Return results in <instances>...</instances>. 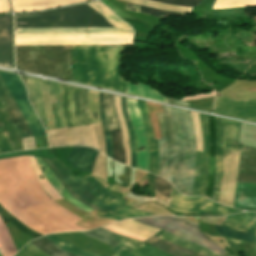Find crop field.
<instances>
[{
  "instance_id": "obj_52",
  "label": "crop field",
  "mask_w": 256,
  "mask_h": 256,
  "mask_svg": "<svg viewBox=\"0 0 256 256\" xmlns=\"http://www.w3.org/2000/svg\"><path fill=\"white\" fill-rule=\"evenodd\" d=\"M42 159H43V161L46 163V165L49 167V169L52 171V173L57 177V179L63 184V186L69 191V193H70L72 196H74L75 198H77V199L80 200L81 202H83V203H85V204H87V205L93 207L92 204H90V203L84 201V200H83L80 196H78L65 182H63V181L53 172V170L50 168V166L47 164V162L44 160V158H42ZM94 207H95V206H94ZM96 209L99 210V211H101V212H103V213H105V214L108 213V212H106V211H104V210H101V209H99V208H97V207H96Z\"/></svg>"
},
{
  "instance_id": "obj_27",
  "label": "crop field",
  "mask_w": 256,
  "mask_h": 256,
  "mask_svg": "<svg viewBox=\"0 0 256 256\" xmlns=\"http://www.w3.org/2000/svg\"><path fill=\"white\" fill-rule=\"evenodd\" d=\"M0 122H1L2 126L4 127L6 133L9 137L12 151L22 150L19 135H18L15 127L13 126L11 120L7 116L1 102H0ZM1 124H0V127H1L5 137L7 139L9 151L11 152L8 137H7L3 127L1 126Z\"/></svg>"
},
{
  "instance_id": "obj_54",
  "label": "crop field",
  "mask_w": 256,
  "mask_h": 256,
  "mask_svg": "<svg viewBox=\"0 0 256 256\" xmlns=\"http://www.w3.org/2000/svg\"><path fill=\"white\" fill-rule=\"evenodd\" d=\"M223 226L233 228V229H237V230H241V231L252 232V233H255V231H256V229H253V228H246V227H241V226L226 224V223H224Z\"/></svg>"
},
{
  "instance_id": "obj_57",
  "label": "crop field",
  "mask_w": 256,
  "mask_h": 256,
  "mask_svg": "<svg viewBox=\"0 0 256 256\" xmlns=\"http://www.w3.org/2000/svg\"><path fill=\"white\" fill-rule=\"evenodd\" d=\"M206 233L208 235H212V236H220V235H216V234H212V233H208V232H206ZM220 237H222V236H220ZM222 238H224L229 245L245 243V242H242V241H238V240H234V239H230V238H226V237H222Z\"/></svg>"
},
{
  "instance_id": "obj_8",
  "label": "crop field",
  "mask_w": 256,
  "mask_h": 256,
  "mask_svg": "<svg viewBox=\"0 0 256 256\" xmlns=\"http://www.w3.org/2000/svg\"><path fill=\"white\" fill-rule=\"evenodd\" d=\"M134 220L196 242L218 256L227 252V250L216 246L204 234H202L198 229V225L181 217H145L135 218Z\"/></svg>"
},
{
  "instance_id": "obj_44",
  "label": "crop field",
  "mask_w": 256,
  "mask_h": 256,
  "mask_svg": "<svg viewBox=\"0 0 256 256\" xmlns=\"http://www.w3.org/2000/svg\"><path fill=\"white\" fill-rule=\"evenodd\" d=\"M137 102H138V106L141 111L142 119L144 122L146 138H147V140L154 139L151 123H150L148 113H147L146 104H145V102L139 101V100H137Z\"/></svg>"
},
{
  "instance_id": "obj_11",
  "label": "crop field",
  "mask_w": 256,
  "mask_h": 256,
  "mask_svg": "<svg viewBox=\"0 0 256 256\" xmlns=\"http://www.w3.org/2000/svg\"><path fill=\"white\" fill-rule=\"evenodd\" d=\"M47 237L66 251L73 253L77 256H100L76 248L68 242L54 235H47ZM115 240H118L122 243L111 249L116 252L113 256H171L165 252H162L151 246H145L141 242L126 238L122 235H118Z\"/></svg>"
},
{
  "instance_id": "obj_3",
  "label": "crop field",
  "mask_w": 256,
  "mask_h": 256,
  "mask_svg": "<svg viewBox=\"0 0 256 256\" xmlns=\"http://www.w3.org/2000/svg\"><path fill=\"white\" fill-rule=\"evenodd\" d=\"M123 46L72 47L73 81L126 93L120 75Z\"/></svg>"
},
{
  "instance_id": "obj_42",
  "label": "crop field",
  "mask_w": 256,
  "mask_h": 256,
  "mask_svg": "<svg viewBox=\"0 0 256 256\" xmlns=\"http://www.w3.org/2000/svg\"><path fill=\"white\" fill-rule=\"evenodd\" d=\"M149 142L150 151V168L149 171L158 175V146L157 140H151Z\"/></svg>"
},
{
  "instance_id": "obj_19",
  "label": "crop field",
  "mask_w": 256,
  "mask_h": 256,
  "mask_svg": "<svg viewBox=\"0 0 256 256\" xmlns=\"http://www.w3.org/2000/svg\"><path fill=\"white\" fill-rule=\"evenodd\" d=\"M144 226L145 225H143L139 222L129 219V220L121 221V222H118V223H115V224H112L109 226H105L103 228L108 229L112 232L127 236ZM158 231H159V229L146 226V227L138 230L137 232L129 235L128 237L143 241V240L153 236Z\"/></svg>"
},
{
  "instance_id": "obj_6",
  "label": "crop field",
  "mask_w": 256,
  "mask_h": 256,
  "mask_svg": "<svg viewBox=\"0 0 256 256\" xmlns=\"http://www.w3.org/2000/svg\"><path fill=\"white\" fill-rule=\"evenodd\" d=\"M157 114L161 137L166 138L167 149L196 151V140L190 111L163 106Z\"/></svg>"
},
{
  "instance_id": "obj_24",
  "label": "crop field",
  "mask_w": 256,
  "mask_h": 256,
  "mask_svg": "<svg viewBox=\"0 0 256 256\" xmlns=\"http://www.w3.org/2000/svg\"><path fill=\"white\" fill-rule=\"evenodd\" d=\"M199 117H200V123H201V128H202L203 140H204V149H203V155H202V173H201L199 195H205L206 194L207 177H208V168H209L208 116L199 113Z\"/></svg>"
},
{
  "instance_id": "obj_59",
  "label": "crop field",
  "mask_w": 256,
  "mask_h": 256,
  "mask_svg": "<svg viewBox=\"0 0 256 256\" xmlns=\"http://www.w3.org/2000/svg\"><path fill=\"white\" fill-rule=\"evenodd\" d=\"M1 255V254H0Z\"/></svg>"
},
{
  "instance_id": "obj_4",
  "label": "crop field",
  "mask_w": 256,
  "mask_h": 256,
  "mask_svg": "<svg viewBox=\"0 0 256 256\" xmlns=\"http://www.w3.org/2000/svg\"><path fill=\"white\" fill-rule=\"evenodd\" d=\"M16 68L71 81L70 47H15Z\"/></svg>"
},
{
  "instance_id": "obj_15",
  "label": "crop field",
  "mask_w": 256,
  "mask_h": 256,
  "mask_svg": "<svg viewBox=\"0 0 256 256\" xmlns=\"http://www.w3.org/2000/svg\"><path fill=\"white\" fill-rule=\"evenodd\" d=\"M241 123L227 120L224 125L222 156L215 155L216 177L212 199L217 201L219 197L220 182L223 177L222 159L230 154L231 150H241L238 143Z\"/></svg>"
},
{
  "instance_id": "obj_25",
  "label": "crop field",
  "mask_w": 256,
  "mask_h": 256,
  "mask_svg": "<svg viewBox=\"0 0 256 256\" xmlns=\"http://www.w3.org/2000/svg\"><path fill=\"white\" fill-rule=\"evenodd\" d=\"M46 159V158H45ZM48 164L51 166V168L54 170V172L62 179L64 180L76 193H78L81 197L86 199L88 202L108 211L111 212L115 210L114 208L110 207L106 203L96 199L94 196H92L89 192H87L83 187L77 185L75 182H73L70 178L62 174L51 162L49 159H46Z\"/></svg>"
},
{
  "instance_id": "obj_40",
  "label": "crop field",
  "mask_w": 256,
  "mask_h": 256,
  "mask_svg": "<svg viewBox=\"0 0 256 256\" xmlns=\"http://www.w3.org/2000/svg\"><path fill=\"white\" fill-rule=\"evenodd\" d=\"M123 1L133 2L136 4L155 7V8H159V9L172 10V11H176V12H189L191 9L189 7H177V6L165 5V4L153 2L150 0H123Z\"/></svg>"
},
{
  "instance_id": "obj_50",
  "label": "crop field",
  "mask_w": 256,
  "mask_h": 256,
  "mask_svg": "<svg viewBox=\"0 0 256 256\" xmlns=\"http://www.w3.org/2000/svg\"><path fill=\"white\" fill-rule=\"evenodd\" d=\"M45 254L28 243L16 256H47Z\"/></svg>"
},
{
  "instance_id": "obj_39",
  "label": "crop field",
  "mask_w": 256,
  "mask_h": 256,
  "mask_svg": "<svg viewBox=\"0 0 256 256\" xmlns=\"http://www.w3.org/2000/svg\"><path fill=\"white\" fill-rule=\"evenodd\" d=\"M214 226L220 235L229 236V237L237 238V239H240V240H243L246 242L253 243L255 234L245 233V232H241V231H237V230L234 231L229 228L222 227V226H216V225H214Z\"/></svg>"
},
{
  "instance_id": "obj_29",
  "label": "crop field",
  "mask_w": 256,
  "mask_h": 256,
  "mask_svg": "<svg viewBox=\"0 0 256 256\" xmlns=\"http://www.w3.org/2000/svg\"><path fill=\"white\" fill-rule=\"evenodd\" d=\"M215 123L216 118L209 116V134H210V169H209V177H208V188L206 196L211 198L212 193V185L215 177V168H214V149H215Z\"/></svg>"
},
{
  "instance_id": "obj_33",
  "label": "crop field",
  "mask_w": 256,
  "mask_h": 256,
  "mask_svg": "<svg viewBox=\"0 0 256 256\" xmlns=\"http://www.w3.org/2000/svg\"><path fill=\"white\" fill-rule=\"evenodd\" d=\"M127 93L149 97L153 99L163 100L165 101L166 97L158 94L151 86L147 84H131L128 83Z\"/></svg>"
},
{
  "instance_id": "obj_13",
  "label": "crop field",
  "mask_w": 256,
  "mask_h": 256,
  "mask_svg": "<svg viewBox=\"0 0 256 256\" xmlns=\"http://www.w3.org/2000/svg\"><path fill=\"white\" fill-rule=\"evenodd\" d=\"M0 74L9 88L20 111L22 112L26 122L32 130L33 135L46 134L27 99L25 88L19 76L2 71H0Z\"/></svg>"
},
{
  "instance_id": "obj_14",
  "label": "crop field",
  "mask_w": 256,
  "mask_h": 256,
  "mask_svg": "<svg viewBox=\"0 0 256 256\" xmlns=\"http://www.w3.org/2000/svg\"><path fill=\"white\" fill-rule=\"evenodd\" d=\"M52 146L85 145L99 149L93 124L48 131Z\"/></svg>"
},
{
  "instance_id": "obj_22",
  "label": "crop field",
  "mask_w": 256,
  "mask_h": 256,
  "mask_svg": "<svg viewBox=\"0 0 256 256\" xmlns=\"http://www.w3.org/2000/svg\"><path fill=\"white\" fill-rule=\"evenodd\" d=\"M97 153L98 152L93 149L80 146H73L67 160L74 167L84 172H92L93 161Z\"/></svg>"
},
{
  "instance_id": "obj_23",
  "label": "crop field",
  "mask_w": 256,
  "mask_h": 256,
  "mask_svg": "<svg viewBox=\"0 0 256 256\" xmlns=\"http://www.w3.org/2000/svg\"><path fill=\"white\" fill-rule=\"evenodd\" d=\"M85 0H12L15 12L43 10L55 6L81 2Z\"/></svg>"
},
{
  "instance_id": "obj_2",
  "label": "crop field",
  "mask_w": 256,
  "mask_h": 256,
  "mask_svg": "<svg viewBox=\"0 0 256 256\" xmlns=\"http://www.w3.org/2000/svg\"><path fill=\"white\" fill-rule=\"evenodd\" d=\"M240 143L256 147V126L242 123ZM243 145L241 151H232L223 159L224 177L220 188L219 203L232 207L237 182L256 183V148ZM234 208L256 211V184L237 183Z\"/></svg>"
},
{
  "instance_id": "obj_55",
  "label": "crop field",
  "mask_w": 256,
  "mask_h": 256,
  "mask_svg": "<svg viewBox=\"0 0 256 256\" xmlns=\"http://www.w3.org/2000/svg\"><path fill=\"white\" fill-rule=\"evenodd\" d=\"M0 13H10L9 0H0Z\"/></svg>"
},
{
  "instance_id": "obj_12",
  "label": "crop field",
  "mask_w": 256,
  "mask_h": 256,
  "mask_svg": "<svg viewBox=\"0 0 256 256\" xmlns=\"http://www.w3.org/2000/svg\"><path fill=\"white\" fill-rule=\"evenodd\" d=\"M169 209L179 213L199 212L201 216H221L241 211L217 205L203 197L181 195L175 188L173 189Z\"/></svg>"
},
{
  "instance_id": "obj_58",
  "label": "crop field",
  "mask_w": 256,
  "mask_h": 256,
  "mask_svg": "<svg viewBox=\"0 0 256 256\" xmlns=\"http://www.w3.org/2000/svg\"><path fill=\"white\" fill-rule=\"evenodd\" d=\"M103 217L111 218V219H116V220L125 219V218L118 217V216H115V215H112V214H109V215H106V216H103Z\"/></svg>"
},
{
  "instance_id": "obj_48",
  "label": "crop field",
  "mask_w": 256,
  "mask_h": 256,
  "mask_svg": "<svg viewBox=\"0 0 256 256\" xmlns=\"http://www.w3.org/2000/svg\"><path fill=\"white\" fill-rule=\"evenodd\" d=\"M201 154L202 152H197V155H196V170H195L193 195H198V190H199V180H200V173H201Z\"/></svg>"
},
{
  "instance_id": "obj_49",
  "label": "crop field",
  "mask_w": 256,
  "mask_h": 256,
  "mask_svg": "<svg viewBox=\"0 0 256 256\" xmlns=\"http://www.w3.org/2000/svg\"><path fill=\"white\" fill-rule=\"evenodd\" d=\"M155 189L169 197L171 185L167 181L155 176Z\"/></svg>"
},
{
  "instance_id": "obj_53",
  "label": "crop field",
  "mask_w": 256,
  "mask_h": 256,
  "mask_svg": "<svg viewBox=\"0 0 256 256\" xmlns=\"http://www.w3.org/2000/svg\"><path fill=\"white\" fill-rule=\"evenodd\" d=\"M0 152L1 153L9 152L7 143H6V139H5L1 129H0Z\"/></svg>"
},
{
  "instance_id": "obj_34",
  "label": "crop field",
  "mask_w": 256,
  "mask_h": 256,
  "mask_svg": "<svg viewBox=\"0 0 256 256\" xmlns=\"http://www.w3.org/2000/svg\"><path fill=\"white\" fill-rule=\"evenodd\" d=\"M114 105L117 111V115H118V119L121 127L124 148L126 150V164L130 166L131 156H130V148H129V142H128V131L126 129V125H125L121 107H120V97L114 96Z\"/></svg>"
},
{
  "instance_id": "obj_37",
  "label": "crop field",
  "mask_w": 256,
  "mask_h": 256,
  "mask_svg": "<svg viewBox=\"0 0 256 256\" xmlns=\"http://www.w3.org/2000/svg\"><path fill=\"white\" fill-rule=\"evenodd\" d=\"M227 222L238 223L245 226L256 228V213L246 212L242 214L233 215L228 218ZM254 251L256 253V240L254 245Z\"/></svg>"
},
{
  "instance_id": "obj_41",
  "label": "crop field",
  "mask_w": 256,
  "mask_h": 256,
  "mask_svg": "<svg viewBox=\"0 0 256 256\" xmlns=\"http://www.w3.org/2000/svg\"><path fill=\"white\" fill-rule=\"evenodd\" d=\"M20 155H31V156L47 157V158H54L55 157L51 148H47V149H40V150H33V151H26V152L0 155V158L16 157V156H20Z\"/></svg>"
},
{
  "instance_id": "obj_26",
  "label": "crop field",
  "mask_w": 256,
  "mask_h": 256,
  "mask_svg": "<svg viewBox=\"0 0 256 256\" xmlns=\"http://www.w3.org/2000/svg\"><path fill=\"white\" fill-rule=\"evenodd\" d=\"M36 161L38 162L39 166L45 165V163L42 161L41 158H36ZM44 176L46 179L50 182V184L58 191V193L65 198L69 203L91 213L94 209L84 205L77 199L71 197L69 193L66 191V189L62 186V184L56 179V177L51 173V171L48 169V167L45 165V172Z\"/></svg>"
},
{
  "instance_id": "obj_56",
  "label": "crop field",
  "mask_w": 256,
  "mask_h": 256,
  "mask_svg": "<svg viewBox=\"0 0 256 256\" xmlns=\"http://www.w3.org/2000/svg\"><path fill=\"white\" fill-rule=\"evenodd\" d=\"M166 102L172 103V104H175V105H178V106L189 107V103H187V102H183V101H181V100L172 99V98H168V97H167Z\"/></svg>"
},
{
  "instance_id": "obj_46",
  "label": "crop field",
  "mask_w": 256,
  "mask_h": 256,
  "mask_svg": "<svg viewBox=\"0 0 256 256\" xmlns=\"http://www.w3.org/2000/svg\"><path fill=\"white\" fill-rule=\"evenodd\" d=\"M225 119L217 118L216 123V150L215 154L221 155L222 150V132Z\"/></svg>"
},
{
  "instance_id": "obj_47",
  "label": "crop field",
  "mask_w": 256,
  "mask_h": 256,
  "mask_svg": "<svg viewBox=\"0 0 256 256\" xmlns=\"http://www.w3.org/2000/svg\"><path fill=\"white\" fill-rule=\"evenodd\" d=\"M193 124L195 127V134L197 138V151H202V139L198 113L191 112Z\"/></svg>"
},
{
  "instance_id": "obj_36",
  "label": "crop field",
  "mask_w": 256,
  "mask_h": 256,
  "mask_svg": "<svg viewBox=\"0 0 256 256\" xmlns=\"http://www.w3.org/2000/svg\"><path fill=\"white\" fill-rule=\"evenodd\" d=\"M86 236H90V237H93L109 246H112L114 247L116 244L120 243V242H117L115 240H113L117 234H114L108 230H105L103 228H99V229H95V230H92V231H88V232H80Z\"/></svg>"
},
{
  "instance_id": "obj_43",
  "label": "crop field",
  "mask_w": 256,
  "mask_h": 256,
  "mask_svg": "<svg viewBox=\"0 0 256 256\" xmlns=\"http://www.w3.org/2000/svg\"><path fill=\"white\" fill-rule=\"evenodd\" d=\"M121 107L123 109L124 112V116L126 119V123L129 129V135H130V139H131V154H132V163L131 166L135 168V143H134V132H133V128L131 126V123L129 121V117H128V113H127V109H126V104H125V98L121 97Z\"/></svg>"
},
{
  "instance_id": "obj_51",
  "label": "crop field",
  "mask_w": 256,
  "mask_h": 256,
  "mask_svg": "<svg viewBox=\"0 0 256 256\" xmlns=\"http://www.w3.org/2000/svg\"><path fill=\"white\" fill-rule=\"evenodd\" d=\"M162 3H168L179 6H195L200 3L201 0H154Z\"/></svg>"
},
{
  "instance_id": "obj_30",
  "label": "crop field",
  "mask_w": 256,
  "mask_h": 256,
  "mask_svg": "<svg viewBox=\"0 0 256 256\" xmlns=\"http://www.w3.org/2000/svg\"><path fill=\"white\" fill-rule=\"evenodd\" d=\"M214 92L197 94L182 98L181 100L190 102V107L212 112ZM191 108V109H192Z\"/></svg>"
},
{
  "instance_id": "obj_38",
  "label": "crop field",
  "mask_w": 256,
  "mask_h": 256,
  "mask_svg": "<svg viewBox=\"0 0 256 256\" xmlns=\"http://www.w3.org/2000/svg\"><path fill=\"white\" fill-rule=\"evenodd\" d=\"M0 216L4 220V222L10 221L12 224H14L18 229H20L22 232L36 238L39 236H42L41 234L29 229L28 227L24 226L21 222H19L15 217H13L10 213H8L1 205H0Z\"/></svg>"
},
{
  "instance_id": "obj_32",
  "label": "crop field",
  "mask_w": 256,
  "mask_h": 256,
  "mask_svg": "<svg viewBox=\"0 0 256 256\" xmlns=\"http://www.w3.org/2000/svg\"><path fill=\"white\" fill-rule=\"evenodd\" d=\"M30 243L49 256H73L55 245L46 236L31 241Z\"/></svg>"
},
{
  "instance_id": "obj_5",
  "label": "crop field",
  "mask_w": 256,
  "mask_h": 256,
  "mask_svg": "<svg viewBox=\"0 0 256 256\" xmlns=\"http://www.w3.org/2000/svg\"><path fill=\"white\" fill-rule=\"evenodd\" d=\"M158 145L159 175L181 193L192 195L196 152L167 151L165 139L158 140Z\"/></svg>"
},
{
  "instance_id": "obj_28",
  "label": "crop field",
  "mask_w": 256,
  "mask_h": 256,
  "mask_svg": "<svg viewBox=\"0 0 256 256\" xmlns=\"http://www.w3.org/2000/svg\"><path fill=\"white\" fill-rule=\"evenodd\" d=\"M143 243H148L149 245H152L174 256H203L192 251H189L187 249L181 248L179 246H176L174 244H171L169 242H166L164 240H161L155 236Z\"/></svg>"
},
{
  "instance_id": "obj_21",
  "label": "crop field",
  "mask_w": 256,
  "mask_h": 256,
  "mask_svg": "<svg viewBox=\"0 0 256 256\" xmlns=\"http://www.w3.org/2000/svg\"><path fill=\"white\" fill-rule=\"evenodd\" d=\"M4 87H6V85H5L4 81L2 80V78L0 76V100L1 101L6 100V97L8 99L6 101H2L3 106L5 107V109L8 113V115L10 116L12 122L18 121L22 130L29 129V127L27 126L22 114L20 113L16 103L14 102V100H13V98H12V96H11V94L8 91L7 88L3 89V91L6 95V97H5V95H4V93L1 89V88H4ZM18 122H15L14 125H15V127H16L20 136L32 135L30 130L22 131Z\"/></svg>"
},
{
  "instance_id": "obj_17",
  "label": "crop field",
  "mask_w": 256,
  "mask_h": 256,
  "mask_svg": "<svg viewBox=\"0 0 256 256\" xmlns=\"http://www.w3.org/2000/svg\"><path fill=\"white\" fill-rule=\"evenodd\" d=\"M128 113L135 131L136 135V148L141 146H148L146 142V138L144 135V126L142 123V119L138 110V106L136 100L134 99H126ZM137 157V165L136 168H139L144 171H148L149 167V151L148 147L144 150H140L136 152Z\"/></svg>"
},
{
  "instance_id": "obj_31",
  "label": "crop field",
  "mask_w": 256,
  "mask_h": 256,
  "mask_svg": "<svg viewBox=\"0 0 256 256\" xmlns=\"http://www.w3.org/2000/svg\"><path fill=\"white\" fill-rule=\"evenodd\" d=\"M158 237L161 239L167 240L169 242L175 243L177 245H180L182 247L188 248L190 250H193L197 253L203 254L205 256H216L213 253H211L210 251L206 250L205 248H203L193 242L182 239L180 237H177V236L167 233L165 231Z\"/></svg>"
},
{
  "instance_id": "obj_20",
  "label": "crop field",
  "mask_w": 256,
  "mask_h": 256,
  "mask_svg": "<svg viewBox=\"0 0 256 256\" xmlns=\"http://www.w3.org/2000/svg\"><path fill=\"white\" fill-rule=\"evenodd\" d=\"M0 65L12 68L11 15L0 16Z\"/></svg>"
},
{
  "instance_id": "obj_16",
  "label": "crop field",
  "mask_w": 256,
  "mask_h": 256,
  "mask_svg": "<svg viewBox=\"0 0 256 256\" xmlns=\"http://www.w3.org/2000/svg\"><path fill=\"white\" fill-rule=\"evenodd\" d=\"M215 113L256 122V100L237 102L216 94Z\"/></svg>"
},
{
  "instance_id": "obj_10",
  "label": "crop field",
  "mask_w": 256,
  "mask_h": 256,
  "mask_svg": "<svg viewBox=\"0 0 256 256\" xmlns=\"http://www.w3.org/2000/svg\"><path fill=\"white\" fill-rule=\"evenodd\" d=\"M52 163L59 169L61 170L65 175L69 176L73 180L77 181L79 184H81L86 190H88L92 195L97 197L98 199L109 203L115 208L120 207L123 205L126 201L120 199L116 195L108 192L105 187H103L98 181H96L93 177L90 175L86 177L79 178L75 175H73L68 168L58 159H53ZM76 182V183H77ZM112 213H116L122 216H125L127 218H132V217H138V216H146V215H151L143 211H139L136 209H132L128 206L122 207L120 210H116Z\"/></svg>"
},
{
  "instance_id": "obj_1",
  "label": "crop field",
  "mask_w": 256,
  "mask_h": 256,
  "mask_svg": "<svg viewBox=\"0 0 256 256\" xmlns=\"http://www.w3.org/2000/svg\"><path fill=\"white\" fill-rule=\"evenodd\" d=\"M118 27L85 3L15 15V29ZM131 28L15 30V35L132 33ZM131 34L16 36L17 45L127 44Z\"/></svg>"
},
{
  "instance_id": "obj_9",
  "label": "crop field",
  "mask_w": 256,
  "mask_h": 256,
  "mask_svg": "<svg viewBox=\"0 0 256 256\" xmlns=\"http://www.w3.org/2000/svg\"><path fill=\"white\" fill-rule=\"evenodd\" d=\"M61 117L66 127L93 123L88 114V90L61 84Z\"/></svg>"
},
{
  "instance_id": "obj_35",
  "label": "crop field",
  "mask_w": 256,
  "mask_h": 256,
  "mask_svg": "<svg viewBox=\"0 0 256 256\" xmlns=\"http://www.w3.org/2000/svg\"><path fill=\"white\" fill-rule=\"evenodd\" d=\"M99 107H100L101 125L103 129L104 137H105L106 153H107V156L112 158L111 138L109 133L107 117H106L105 109L103 106V93L101 92H99Z\"/></svg>"
},
{
  "instance_id": "obj_7",
  "label": "crop field",
  "mask_w": 256,
  "mask_h": 256,
  "mask_svg": "<svg viewBox=\"0 0 256 256\" xmlns=\"http://www.w3.org/2000/svg\"><path fill=\"white\" fill-rule=\"evenodd\" d=\"M29 96L47 130L65 127L60 117V84L27 78Z\"/></svg>"
},
{
  "instance_id": "obj_45",
  "label": "crop field",
  "mask_w": 256,
  "mask_h": 256,
  "mask_svg": "<svg viewBox=\"0 0 256 256\" xmlns=\"http://www.w3.org/2000/svg\"><path fill=\"white\" fill-rule=\"evenodd\" d=\"M137 12L158 16V17H166L167 15H185V13L169 12L165 10H157L154 8L143 7V6H138Z\"/></svg>"
},
{
  "instance_id": "obj_18",
  "label": "crop field",
  "mask_w": 256,
  "mask_h": 256,
  "mask_svg": "<svg viewBox=\"0 0 256 256\" xmlns=\"http://www.w3.org/2000/svg\"><path fill=\"white\" fill-rule=\"evenodd\" d=\"M104 104L110 129H120L116 112L113 106V96L104 93ZM113 142V159L125 164V155L121 143L120 130H111Z\"/></svg>"
}]
</instances>
